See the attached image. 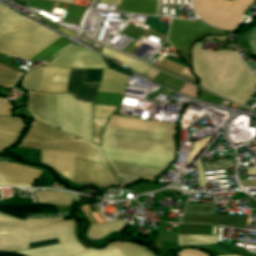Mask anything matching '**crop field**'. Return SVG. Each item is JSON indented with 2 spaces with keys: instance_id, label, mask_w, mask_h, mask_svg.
I'll list each match as a JSON object with an SVG mask.
<instances>
[{
  "instance_id": "15",
  "label": "crop field",
  "mask_w": 256,
  "mask_h": 256,
  "mask_svg": "<svg viewBox=\"0 0 256 256\" xmlns=\"http://www.w3.org/2000/svg\"><path fill=\"white\" fill-rule=\"evenodd\" d=\"M86 69H70L67 91L82 101L94 102L100 82L83 83Z\"/></svg>"
},
{
  "instance_id": "40",
  "label": "crop field",
  "mask_w": 256,
  "mask_h": 256,
  "mask_svg": "<svg viewBox=\"0 0 256 256\" xmlns=\"http://www.w3.org/2000/svg\"><path fill=\"white\" fill-rule=\"evenodd\" d=\"M56 243H58L56 239L37 242V243H31V244H29V249L36 248V247H41V246H46V245H51V244H56Z\"/></svg>"
},
{
  "instance_id": "43",
  "label": "crop field",
  "mask_w": 256,
  "mask_h": 256,
  "mask_svg": "<svg viewBox=\"0 0 256 256\" xmlns=\"http://www.w3.org/2000/svg\"><path fill=\"white\" fill-rule=\"evenodd\" d=\"M241 186H256V180L240 181Z\"/></svg>"
},
{
  "instance_id": "7",
  "label": "crop field",
  "mask_w": 256,
  "mask_h": 256,
  "mask_svg": "<svg viewBox=\"0 0 256 256\" xmlns=\"http://www.w3.org/2000/svg\"><path fill=\"white\" fill-rule=\"evenodd\" d=\"M206 34H225V32L208 25H204L200 20L186 21L173 19L168 39L189 64L190 45Z\"/></svg>"
},
{
  "instance_id": "26",
  "label": "crop field",
  "mask_w": 256,
  "mask_h": 256,
  "mask_svg": "<svg viewBox=\"0 0 256 256\" xmlns=\"http://www.w3.org/2000/svg\"><path fill=\"white\" fill-rule=\"evenodd\" d=\"M40 203L70 205L72 196L57 193L55 191L35 192Z\"/></svg>"
},
{
  "instance_id": "14",
  "label": "crop field",
  "mask_w": 256,
  "mask_h": 256,
  "mask_svg": "<svg viewBox=\"0 0 256 256\" xmlns=\"http://www.w3.org/2000/svg\"><path fill=\"white\" fill-rule=\"evenodd\" d=\"M107 125L176 135V125L113 115Z\"/></svg>"
},
{
  "instance_id": "18",
  "label": "crop field",
  "mask_w": 256,
  "mask_h": 256,
  "mask_svg": "<svg viewBox=\"0 0 256 256\" xmlns=\"http://www.w3.org/2000/svg\"><path fill=\"white\" fill-rule=\"evenodd\" d=\"M41 162L51 165L69 180H74V157L42 151Z\"/></svg>"
},
{
  "instance_id": "3",
  "label": "crop field",
  "mask_w": 256,
  "mask_h": 256,
  "mask_svg": "<svg viewBox=\"0 0 256 256\" xmlns=\"http://www.w3.org/2000/svg\"><path fill=\"white\" fill-rule=\"evenodd\" d=\"M102 146L136 150L171 157L174 152V148L171 147L115 140L104 137H102ZM105 147H102V149L106 158L109 160L155 166L161 168H165L170 162H172V158L170 157ZM114 161H109V163L116 172L117 176L137 179H154L159 173L163 171V169L161 168L140 166Z\"/></svg>"
},
{
  "instance_id": "5",
  "label": "crop field",
  "mask_w": 256,
  "mask_h": 256,
  "mask_svg": "<svg viewBox=\"0 0 256 256\" xmlns=\"http://www.w3.org/2000/svg\"><path fill=\"white\" fill-rule=\"evenodd\" d=\"M58 37L25 18L0 36V53L29 60Z\"/></svg>"
},
{
  "instance_id": "25",
  "label": "crop field",
  "mask_w": 256,
  "mask_h": 256,
  "mask_svg": "<svg viewBox=\"0 0 256 256\" xmlns=\"http://www.w3.org/2000/svg\"><path fill=\"white\" fill-rule=\"evenodd\" d=\"M81 133L80 136L92 141V114H91V104L81 102Z\"/></svg>"
},
{
  "instance_id": "9",
  "label": "crop field",
  "mask_w": 256,
  "mask_h": 256,
  "mask_svg": "<svg viewBox=\"0 0 256 256\" xmlns=\"http://www.w3.org/2000/svg\"><path fill=\"white\" fill-rule=\"evenodd\" d=\"M248 216L216 215V205L187 204L182 223H209L244 229Z\"/></svg>"
},
{
  "instance_id": "39",
  "label": "crop field",
  "mask_w": 256,
  "mask_h": 256,
  "mask_svg": "<svg viewBox=\"0 0 256 256\" xmlns=\"http://www.w3.org/2000/svg\"><path fill=\"white\" fill-rule=\"evenodd\" d=\"M178 256H207V255L199 251L187 249V250H182Z\"/></svg>"
},
{
  "instance_id": "48",
  "label": "crop field",
  "mask_w": 256,
  "mask_h": 256,
  "mask_svg": "<svg viewBox=\"0 0 256 256\" xmlns=\"http://www.w3.org/2000/svg\"><path fill=\"white\" fill-rule=\"evenodd\" d=\"M0 234L28 235V233H12V232H0Z\"/></svg>"
},
{
  "instance_id": "21",
  "label": "crop field",
  "mask_w": 256,
  "mask_h": 256,
  "mask_svg": "<svg viewBox=\"0 0 256 256\" xmlns=\"http://www.w3.org/2000/svg\"><path fill=\"white\" fill-rule=\"evenodd\" d=\"M158 0H122L119 11L156 15Z\"/></svg>"
},
{
  "instance_id": "22",
  "label": "crop field",
  "mask_w": 256,
  "mask_h": 256,
  "mask_svg": "<svg viewBox=\"0 0 256 256\" xmlns=\"http://www.w3.org/2000/svg\"><path fill=\"white\" fill-rule=\"evenodd\" d=\"M132 243L113 242L103 250L87 249L77 256H126Z\"/></svg>"
},
{
  "instance_id": "38",
  "label": "crop field",
  "mask_w": 256,
  "mask_h": 256,
  "mask_svg": "<svg viewBox=\"0 0 256 256\" xmlns=\"http://www.w3.org/2000/svg\"><path fill=\"white\" fill-rule=\"evenodd\" d=\"M102 69H87L84 82L100 81Z\"/></svg>"
},
{
  "instance_id": "31",
  "label": "crop field",
  "mask_w": 256,
  "mask_h": 256,
  "mask_svg": "<svg viewBox=\"0 0 256 256\" xmlns=\"http://www.w3.org/2000/svg\"><path fill=\"white\" fill-rule=\"evenodd\" d=\"M18 253L25 254L27 256H62L59 245H51L31 250L17 251Z\"/></svg>"
},
{
  "instance_id": "20",
  "label": "crop field",
  "mask_w": 256,
  "mask_h": 256,
  "mask_svg": "<svg viewBox=\"0 0 256 256\" xmlns=\"http://www.w3.org/2000/svg\"><path fill=\"white\" fill-rule=\"evenodd\" d=\"M128 76L113 70L103 69L102 79L98 91L122 93Z\"/></svg>"
},
{
  "instance_id": "17",
  "label": "crop field",
  "mask_w": 256,
  "mask_h": 256,
  "mask_svg": "<svg viewBox=\"0 0 256 256\" xmlns=\"http://www.w3.org/2000/svg\"><path fill=\"white\" fill-rule=\"evenodd\" d=\"M73 137L74 136L72 135L55 130L38 121H35L25 139L38 142H46L73 139Z\"/></svg>"
},
{
  "instance_id": "37",
  "label": "crop field",
  "mask_w": 256,
  "mask_h": 256,
  "mask_svg": "<svg viewBox=\"0 0 256 256\" xmlns=\"http://www.w3.org/2000/svg\"><path fill=\"white\" fill-rule=\"evenodd\" d=\"M127 256H156V255L150 252L147 248L133 243V246Z\"/></svg>"
},
{
  "instance_id": "13",
  "label": "crop field",
  "mask_w": 256,
  "mask_h": 256,
  "mask_svg": "<svg viewBox=\"0 0 256 256\" xmlns=\"http://www.w3.org/2000/svg\"><path fill=\"white\" fill-rule=\"evenodd\" d=\"M41 173L25 166L0 163V185L30 186Z\"/></svg>"
},
{
  "instance_id": "19",
  "label": "crop field",
  "mask_w": 256,
  "mask_h": 256,
  "mask_svg": "<svg viewBox=\"0 0 256 256\" xmlns=\"http://www.w3.org/2000/svg\"><path fill=\"white\" fill-rule=\"evenodd\" d=\"M23 127L21 118L0 116V150L11 144Z\"/></svg>"
},
{
  "instance_id": "27",
  "label": "crop field",
  "mask_w": 256,
  "mask_h": 256,
  "mask_svg": "<svg viewBox=\"0 0 256 256\" xmlns=\"http://www.w3.org/2000/svg\"><path fill=\"white\" fill-rule=\"evenodd\" d=\"M0 212L25 219L27 213H40L37 205H0Z\"/></svg>"
},
{
  "instance_id": "41",
  "label": "crop field",
  "mask_w": 256,
  "mask_h": 256,
  "mask_svg": "<svg viewBox=\"0 0 256 256\" xmlns=\"http://www.w3.org/2000/svg\"><path fill=\"white\" fill-rule=\"evenodd\" d=\"M12 109L10 102L5 101V103L0 107V115H9Z\"/></svg>"
},
{
  "instance_id": "36",
  "label": "crop field",
  "mask_w": 256,
  "mask_h": 256,
  "mask_svg": "<svg viewBox=\"0 0 256 256\" xmlns=\"http://www.w3.org/2000/svg\"><path fill=\"white\" fill-rule=\"evenodd\" d=\"M206 225H183L181 224V234H205Z\"/></svg>"
},
{
  "instance_id": "35",
  "label": "crop field",
  "mask_w": 256,
  "mask_h": 256,
  "mask_svg": "<svg viewBox=\"0 0 256 256\" xmlns=\"http://www.w3.org/2000/svg\"><path fill=\"white\" fill-rule=\"evenodd\" d=\"M158 20V17L148 16L144 24L166 34L169 25H163V21Z\"/></svg>"
},
{
  "instance_id": "32",
  "label": "crop field",
  "mask_w": 256,
  "mask_h": 256,
  "mask_svg": "<svg viewBox=\"0 0 256 256\" xmlns=\"http://www.w3.org/2000/svg\"><path fill=\"white\" fill-rule=\"evenodd\" d=\"M42 69H43V67L35 68V69H32V70L26 72L22 86L25 89L38 90L39 84H40V79H41V74H42Z\"/></svg>"
},
{
  "instance_id": "2",
  "label": "crop field",
  "mask_w": 256,
  "mask_h": 256,
  "mask_svg": "<svg viewBox=\"0 0 256 256\" xmlns=\"http://www.w3.org/2000/svg\"><path fill=\"white\" fill-rule=\"evenodd\" d=\"M0 219L17 220L0 213ZM0 220V231L29 232V236L0 235V250L15 251L28 248V243L57 238L64 256H75L82 252L74 240L72 220L26 219L25 221Z\"/></svg>"
},
{
  "instance_id": "46",
  "label": "crop field",
  "mask_w": 256,
  "mask_h": 256,
  "mask_svg": "<svg viewBox=\"0 0 256 256\" xmlns=\"http://www.w3.org/2000/svg\"><path fill=\"white\" fill-rule=\"evenodd\" d=\"M226 38H227V36H221V37H218V36H214V37L208 36L206 39L226 40Z\"/></svg>"
},
{
  "instance_id": "24",
  "label": "crop field",
  "mask_w": 256,
  "mask_h": 256,
  "mask_svg": "<svg viewBox=\"0 0 256 256\" xmlns=\"http://www.w3.org/2000/svg\"><path fill=\"white\" fill-rule=\"evenodd\" d=\"M125 224L126 222L124 221H116L106 224L94 225L90 227L87 236L98 240L114 230H121Z\"/></svg>"
},
{
  "instance_id": "28",
  "label": "crop field",
  "mask_w": 256,
  "mask_h": 256,
  "mask_svg": "<svg viewBox=\"0 0 256 256\" xmlns=\"http://www.w3.org/2000/svg\"><path fill=\"white\" fill-rule=\"evenodd\" d=\"M23 18L24 17L0 5V35Z\"/></svg>"
},
{
  "instance_id": "4",
  "label": "crop field",
  "mask_w": 256,
  "mask_h": 256,
  "mask_svg": "<svg viewBox=\"0 0 256 256\" xmlns=\"http://www.w3.org/2000/svg\"><path fill=\"white\" fill-rule=\"evenodd\" d=\"M49 125L79 136L80 106L74 97L64 94H46ZM45 94L29 91L31 115L48 124ZM38 120V121H39ZM40 121V122H41Z\"/></svg>"
},
{
  "instance_id": "10",
  "label": "crop field",
  "mask_w": 256,
  "mask_h": 256,
  "mask_svg": "<svg viewBox=\"0 0 256 256\" xmlns=\"http://www.w3.org/2000/svg\"><path fill=\"white\" fill-rule=\"evenodd\" d=\"M75 183H94L100 187L119 185L105 163L75 158Z\"/></svg>"
},
{
  "instance_id": "30",
  "label": "crop field",
  "mask_w": 256,
  "mask_h": 256,
  "mask_svg": "<svg viewBox=\"0 0 256 256\" xmlns=\"http://www.w3.org/2000/svg\"><path fill=\"white\" fill-rule=\"evenodd\" d=\"M68 44H69V41L61 37L57 41H55L53 44L48 46L46 49H44L42 52H40L35 57H33L31 60L46 61L50 59L58 50H60L62 47Z\"/></svg>"
},
{
  "instance_id": "11",
  "label": "crop field",
  "mask_w": 256,
  "mask_h": 256,
  "mask_svg": "<svg viewBox=\"0 0 256 256\" xmlns=\"http://www.w3.org/2000/svg\"><path fill=\"white\" fill-rule=\"evenodd\" d=\"M48 65L84 67V68H108L101 57L92 51L79 46L70 45L60 51Z\"/></svg>"
},
{
  "instance_id": "6",
  "label": "crop field",
  "mask_w": 256,
  "mask_h": 256,
  "mask_svg": "<svg viewBox=\"0 0 256 256\" xmlns=\"http://www.w3.org/2000/svg\"><path fill=\"white\" fill-rule=\"evenodd\" d=\"M255 0H192V6L204 22L232 31L238 27L243 10Z\"/></svg>"
},
{
  "instance_id": "42",
  "label": "crop field",
  "mask_w": 256,
  "mask_h": 256,
  "mask_svg": "<svg viewBox=\"0 0 256 256\" xmlns=\"http://www.w3.org/2000/svg\"><path fill=\"white\" fill-rule=\"evenodd\" d=\"M196 164H197L198 172H199V186H204V174H203V170H202V167H201L199 159L196 162Z\"/></svg>"
},
{
  "instance_id": "16",
  "label": "crop field",
  "mask_w": 256,
  "mask_h": 256,
  "mask_svg": "<svg viewBox=\"0 0 256 256\" xmlns=\"http://www.w3.org/2000/svg\"><path fill=\"white\" fill-rule=\"evenodd\" d=\"M69 69L46 66L43 69L39 91L62 93L66 90Z\"/></svg>"
},
{
  "instance_id": "1",
  "label": "crop field",
  "mask_w": 256,
  "mask_h": 256,
  "mask_svg": "<svg viewBox=\"0 0 256 256\" xmlns=\"http://www.w3.org/2000/svg\"><path fill=\"white\" fill-rule=\"evenodd\" d=\"M194 44L192 62L200 85L219 94L242 103L251 97L256 79L240 60L236 52H209Z\"/></svg>"
},
{
  "instance_id": "34",
  "label": "crop field",
  "mask_w": 256,
  "mask_h": 256,
  "mask_svg": "<svg viewBox=\"0 0 256 256\" xmlns=\"http://www.w3.org/2000/svg\"><path fill=\"white\" fill-rule=\"evenodd\" d=\"M19 73L0 71V86L12 88V84L17 80Z\"/></svg>"
},
{
  "instance_id": "44",
  "label": "crop field",
  "mask_w": 256,
  "mask_h": 256,
  "mask_svg": "<svg viewBox=\"0 0 256 256\" xmlns=\"http://www.w3.org/2000/svg\"><path fill=\"white\" fill-rule=\"evenodd\" d=\"M99 3L119 5L120 0H100Z\"/></svg>"
},
{
  "instance_id": "49",
  "label": "crop field",
  "mask_w": 256,
  "mask_h": 256,
  "mask_svg": "<svg viewBox=\"0 0 256 256\" xmlns=\"http://www.w3.org/2000/svg\"><path fill=\"white\" fill-rule=\"evenodd\" d=\"M57 1L65 2V3H70V4L73 3V0H57Z\"/></svg>"
},
{
  "instance_id": "29",
  "label": "crop field",
  "mask_w": 256,
  "mask_h": 256,
  "mask_svg": "<svg viewBox=\"0 0 256 256\" xmlns=\"http://www.w3.org/2000/svg\"><path fill=\"white\" fill-rule=\"evenodd\" d=\"M217 236L178 235V245H208L216 243Z\"/></svg>"
},
{
  "instance_id": "23",
  "label": "crop field",
  "mask_w": 256,
  "mask_h": 256,
  "mask_svg": "<svg viewBox=\"0 0 256 256\" xmlns=\"http://www.w3.org/2000/svg\"><path fill=\"white\" fill-rule=\"evenodd\" d=\"M101 53L131 67L133 70L137 71V72H140L142 74H144L146 71H148L150 69V67L136 61V60H133L129 57H126L124 55H121L117 52H114L106 47H102V51Z\"/></svg>"
},
{
  "instance_id": "12",
  "label": "crop field",
  "mask_w": 256,
  "mask_h": 256,
  "mask_svg": "<svg viewBox=\"0 0 256 256\" xmlns=\"http://www.w3.org/2000/svg\"><path fill=\"white\" fill-rule=\"evenodd\" d=\"M102 136L175 147V136L159 133L106 126Z\"/></svg>"
},
{
  "instance_id": "47",
  "label": "crop field",
  "mask_w": 256,
  "mask_h": 256,
  "mask_svg": "<svg viewBox=\"0 0 256 256\" xmlns=\"http://www.w3.org/2000/svg\"><path fill=\"white\" fill-rule=\"evenodd\" d=\"M247 175H256V169H246Z\"/></svg>"
},
{
  "instance_id": "45",
  "label": "crop field",
  "mask_w": 256,
  "mask_h": 256,
  "mask_svg": "<svg viewBox=\"0 0 256 256\" xmlns=\"http://www.w3.org/2000/svg\"><path fill=\"white\" fill-rule=\"evenodd\" d=\"M0 256H22L12 252H0Z\"/></svg>"
},
{
  "instance_id": "50",
  "label": "crop field",
  "mask_w": 256,
  "mask_h": 256,
  "mask_svg": "<svg viewBox=\"0 0 256 256\" xmlns=\"http://www.w3.org/2000/svg\"><path fill=\"white\" fill-rule=\"evenodd\" d=\"M4 99L0 98V105L3 103Z\"/></svg>"
},
{
  "instance_id": "33",
  "label": "crop field",
  "mask_w": 256,
  "mask_h": 256,
  "mask_svg": "<svg viewBox=\"0 0 256 256\" xmlns=\"http://www.w3.org/2000/svg\"><path fill=\"white\" fill-rule=\"evenodd\" d=\"M121 100H122V95L97 92L94 103L119 105Z\"/></svg>"
},
{
  "instance_id": "8",
  "label": "crop field",
  "mask_w": 256,
  "mask_h": 256,
  "mask_svg": "<svg viewBox=\"0 0 256 256\" xmlns=\"http://www.w3.org/2000/svg\"><path fill=\"white\" fill-rule=\"evenodd\" d=\"M19 146L72 155L80 158L106 163L100 147L83 139L47 143H38L23 140V142Z\"/></svg>"
}]
</instances>
